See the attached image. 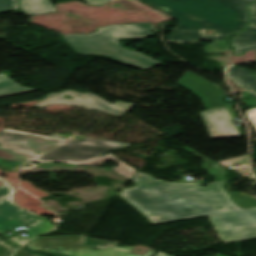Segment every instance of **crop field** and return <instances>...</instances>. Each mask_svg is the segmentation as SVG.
Returning a JSON list of instances; mask_svg holds the SVG:
<instances>
[{
  "label": "crop field",
  "mask_w": 256,
  "mask_h": 256,
  "mask_svg": "<svg viewBox=\"0 0 256 256\" xmlns=\"http://www.w3.org/2000/svg\"><path fill=\"white\" fill-rule=\"evenodd\" d=\"M131 180L136 187L124 189L120 197L153 224L240 209L225 190L224 182L206 187L167 183L140 172Z\"/></svg>",
  "instance_id": "8a807250"
},
{
  "label": "crop field",
  "mask_w": 256,
  "mask_h": 256,
  "mask_svg": "<svg viewBox=\"0 0 256 256\" xmlns=\"http://www.w3.org/2000/svg\"><path fill=\"white\" fill-rule=\"evenodd\" d=\"M0 143V168L6 172H16L31 160L42 163L103 165L108 159L118 164V167L112 168L117 174L131 179L136 172V169L111 154L99 157L131 144L76 135L55 134L48 137L9 129L0 132Z\"/></svg>",
  "instance_id": "ac0d7876"
},
{
  "label": "crop field",
  "mask_w": 256,
  "mask_h": 256,
  "mask_svg": "<svg viewBox=\"0 0 256 256\" xmlns=\"http://www.w3.org/2000/svg\"><path fill=\"white\" fill-rule=\"evenodd\" d=\"M176 19L170 42L216 40L225 46V37L243 29L248 17L246 6L255 0H142ZM213 29L217 35H203Z\"/></svg>",
  "instance_id": "34b2d1b8"
},
{
  "label": "crop field",
  "mask_w": 256,
  "mask_h": 256,
  "mask_svg": "<svg viewBox=\"0 0 256 256\" xmlns=\"http://www.w3.org/2000/svg\"><path fill=\"white\" fill-rule=\"evenodd\" d=\"M156 32L151 23L116 25L99 29L90 35L68 34L63 36L72 47L82 54L108 55L125 64L142 69L156 67L162 64L138 52L128 51L120 47L119 38H142Z\"/></svg>",
  "instance_id": "412701ff"
},
{
  "label": "crop field",
  "mask_w": 256,
  "mask_h": 256,
  "mask_svg": "<svg viewBox=\"0 0 256 256\" xmlns=\"http://www.w3.org/2000/svg\"><path fill=\"white\" fill-rule=\"evenodd\" d=\"M0 182L4 184L0 186V233L12 228L29 226L25 233L31 236L53 226L48 219L38 217L14 204L12 201L13 187L9 185L8 181L0 179Z\"/></svg>",
  "instance_id": "f4fd0767"
},
{
  "label": "crop field",
  "mask_w": 256,
  "mask_h": 256,
  "mask_svg": "<svg viewBox=\"0 0 256 256\" xmlns=\"http://www.w3.org/2000/svg\"><path fill=\"white\" fill-rule=\"evenodd\" d=\"M81 236H54L36 238L28 242V248L47 253H61L70 256H140L128 253L133 246L92 250L80 246ZM48 247V251H44ZM156 251L149 250L143 256H153Z\"/></svg>",
  "instance_id": "dd49c442"
},
{
  "label": "crop field",
  "mask_w": 256,
  "mask_h": 256,
  "mask_svg": "<svg viewBox=\"0 0 256 256\" xmlns=\"http://www.w3.org/2000/svg\"><path fill=\"white\" fill-rule=\"evenodd\" d=\"M66 94L74 97L72 100H68L66 98H63ZM74 94L79 95L81 97L74 96ZM82 98H85L83 100ZM55 103H62L82 108H87L115 116H121L126 111H128L130 108H132L134 105L124 103L117 101L113 103V105L100 97L94 95V94H79L75 91L67 90L64 93H58V94H50L46 98H44L42 101L37 103L35 106L37 107H45L49 104H55Z\"/></svg>",
  "instance_id": "e52e79f7"
},
{
  "label": "crop field",
  "mask_w": 256,
  "mask_h": 256,
  "mask_svg": "<svg viewBox=\"0 0 256 256\" xmlns=\"http://www.w3.org/2000/svg\"><path fill=\"white\" fill-rule=\"evenodd\" d=\"M177 84L200 97L205 108L225 105L222 91L218 87L189 71L186 72Z\"/></svg>",
  "instance_id": "d8731c3e"
},
{
  "label": "crop field",
  "mask_w": 256,
  "mask_h": 256,
  "mask_svg": "<svg viewBox=\"0 0 256 256\" xmlns=\"http://www.w3.org/2000/svg\"><path fill=\"white\" fill-rule=\"evenodd\" d=\"M201 114L212 139L239 136L227 108L214 109Z\"/></svg>",
  "instance_id": "5a996713"
},
{
  "label": "crop field",
  "mask_w": 256,
  "mask_h": 256,
  "mask_svg": "<svg viewBox=\"0 0 256 256\" xmlns=\"http://www.w3.org/2000/svg\"><path fill=\"white\" fill-rule=\"evenodd\" d=\"M210 217L217 231L254 226L256 225V208L211 215Z\"/></svg>",
  "instance_id": "3316defc"
},
{
  "label": "crop field",
  "mask_w": 256,
  "mask_h": 256,
  "mask_svg": "<svg viewBox=\"0 0 256 256\" xmlns=\"http://www.w3.org/2000/svg\"><path fill=\"white\" fill-rule=\"evenodd\" d=\"M249 8L252 21L249 23L244 33L235 35L231 39V45L236 54L256 48V2L251 4Z\"/></svg>",
  "instance_id": "28ad6ade"
},
{
  "label": "crop field",
  "mask_w": 256,
  "mask_h": 256,
  "mask_svg": "<svg viewBox=\"0 0 256 256\" xmlns=\"http://www.w3.org/2000/svg\"><path fill=\"white\" fill-rule=\"evenodd\" d=\"M228 70L231 72L228 77L256 99V79L253 74L236 66Z\"/></svg>",
  "instance_id": "d1516ede"
},
{
  "label": "crop field",
  "mask_w": 256,
  "mask_h": 256,
  "mask_svg": "<svg viewBox=\"0 0 256 256\" xmlns=\"http://www.w3.org/2000/svg\"><path fill=\"white\" fill-rule=\"evenodd\" d=\"M20 6L29 16L55 11L49 0H20Z\"/></svg>",
  "instance_id": "22f410ed"
},
{
  "label": "crop field",
  "mask_w": 256,
  "mask_h": 256,
  "mask_svg": "<svg viewBox=\"0 0 256 256\" xmlns=\"http://www.w3.org/2000/svg\"><path fill=\"white\" fill-rule=\"evenodd\" d=\"M219 236L225 243L256 238V226L220 231Z\"/></svg>",
  "instance_id": "cbeb9de0"
},
{
  "label": "crop field",
  "mask_w": 256,
  "mask_h": 256,
  "mask_svg": "<svg viewBox=\"0 0 256 256\" xmlns=\"http://www.w3.org/2000/svg\"><path fill=\"white\" fill-rule=\"evenodd\" d=\"M29 91H34V90L24 88L16 84L4 74L0 75V97L29 92Z\"/></svg>",
  "instance_id": "5142ce71"
},
{
  "label": "crop field",
  "mask_w": 256,
  "mask_h": 256,
  "mask_svg": "<svg viewBox=\"0 0 256 256\" xmlns=\"http://www.w3.org/2000/svg\"><path fill=\"white\" fill-rule=\"evenodd\" d=\"M186 150L192 152L193 154L201 157L204 160L202 168L212 177L216 178L215 182L223 181L225 180V173L223 167L220 165L210 161L209 159L205 158L201 154L197 153L196 151L190 149V148H185ZM214 183V182H212Z\"/></svg>",
  "instance_id": "d9b57169"
},
{
  "label": "crop field",
  "mask_w": 256,
  "mask_h": 256,
  "mask_svg": "<svg viewBox=\"0 0 256 256\" xmlns=\"http://www.w3.org/2000/svg\"><path fill=\"white\" fill-rule=\"evenodd\" d=\"M118 244L120 243L115 241H102V240L91 239V238H86L82 243L83 246H87L95 249L114 247V246H117Z\"/></svg>",
  "instance_id": "733c2abd"
},
{
  "label": "crop field",
  "mask_w": 256,
  "mask_h": 256,
  "mask_svg": "<svg viewBox=\"0 0 256 256\" xmlns=\"http://www.w3.org/2000/svg\"><path fill=\"white\" fill-rule=\"evenodd\" d=\"M12 11L13 13H21L18 8V0H0V13Z\"/></svg>",
  "instance_id": "4a817a6b"
},
{
  "label": "crop field",
  "mask_w": 256,
  "mask_h": 256,
  "mask_svg": "<svg viewBox=\"0 0 256 256\" xmlns=\"http://www.w3.org/2000/svg\"><path fill=\"white\" fill-rule=\"evenodd\" d=\"M233 199L243 208H251V207H256V199L252 195H247V196H237L233 197Z\"/></svg>",
  "instance_id": "bc2a9ffb"
},
{
  "label": "crop field",
  "mask_w": 256,
  "mask_h": 256,
  "mask_svg": "<svg viewBox=\"0 0 256 256\" xmlns=\"http://www.w3.org/2000/svg\"><path fill=\"white\" fill-rule=\"evenodd\" d=\"M15 250L16 247H13L0 240V256H11Z\"/></svg>",
  "instance_id": "214f88e0"
},
{
  "label": "crop field",
  "mask_w": 256,
  "mask_h": 256,
  "mask_svg": "<svg viewBox=\"0 0 256 256\" xmlns=\"http://www.w3.org/2000/svg\"><path fill=\"white\" fill-rule=\"evenodd\" d=\"M247 116L256 128V109H250L247 111Z\"/></svg>",
  "instance_id": "92a150f3"
},
{
  "label": "crop field",
  "mask_w": 256,
  "mask_h": 256,
  "mask_svg": "<svg viewBox=\"0 0 256 256\" xmlns=\"http://www.w3.org/2000/svg\"><path fill=\"white\" fill-rule=\"evenodd\" d=\"M88 4H96V5H100V4H103L109 0H82Z\"/></svg>",
  "instance_id": "dafd665d"
},
{
  "label": "crop field",
  "mask_w": 256,
  "mask_h": 256,
  "mask_svg": "<svg viewBox=\"0 0 256 256\" xmlns=\"http://www.w3.org/2000/svg\"><path fill=\"white\" fill-rule=\"evenodd\" d=\"M15 256H37V255H33V254L27 252L26 250L20 249V250H18V252L16 253Z\"/></svg>",
  "instance_id": "00972430"
},
{
  "label": "crop field",
  "mask_w": 256,
  "mask_h": 256,
  "mask_svg": "<svg viewBox=\"0 0 256 256\" xmlns=\"http://www.w3.org/2000/svg\"><path fill=\"white\" fill-rule=\"evenodd\" d=\"M226 184H227V187H228V189H229V191H230V193H231L232 196L241 195L239 192L232 193L231 188H230V183H229V182H226Z\"/></svg>",
  "instance_id": "a9b5d70f"
},
{
  "label": "crop field",
  "mask_w": 256,
  "mask_h": 256,
  "mask_svg": "<svg viewBox=\"0 0 256 256\" xmlns=\"http://www.w3.org/2000/svg\"><path fill=\"white\" fill-rule=\"evenodd\" d=\"M53 227H54V226H53ZM53 227H52V228H49V229H46V230H44V231H42V232H40V233H37V234H35V235L31 236V237H27V239H30V238H32V237H35V236L39 235V234H42V233L48 232V231L52 230V229H53Z\"/></svg>",
  "instance_id": "4177f3b9"
},
{
  "label": "crop field",
  "mask_w": 256,
  "mask_h": 256,
  "mask_svg": "<svg viewBox=\"0 0 256 256\" xmlns=\"http://www.w3.org/2000/svg\"><path fill=\"white\" fill-rule=\"evenodd\" d=\"M154 256H171V255L159 251V252H158L157 254H155Z\"/></svg>",
  "instance_id": "730fd06b"
},
{
  "label": "crop field",
  "mask_w": 256,
  "mask_h": 256,
  "mask_svg": "<svg viewBox=\"0 0 256 256\" xmlns=\"http://www.w3.org/2000/svg\"><path fill=\"white\" fill-rule=\"evenodd\" d=\"M26 240L25 239H22V240H20V241H18V242H15V243H13L14 245H17V246H20L23 242H25Z\"/></svg>",
  "instance_id": "eef30255"
}]
</instances>
